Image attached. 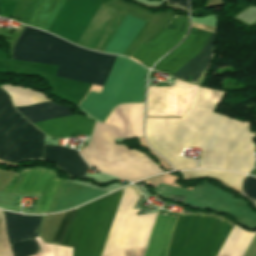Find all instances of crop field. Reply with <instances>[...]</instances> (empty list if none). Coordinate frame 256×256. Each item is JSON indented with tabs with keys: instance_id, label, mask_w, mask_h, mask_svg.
I'll use <instances>...</instances> for the list:
<instances>
[{
	"instance_id": "9",
	"label": "crop field",
	"mask_w": 256,
	"mask_h": 256,
	"mask_svg": "<svg viewBox=\"0 0 256 256\" xmlns=\"http://www.w3.org/2000/svg\"><path fill=\"white\" fill-rule=\"evenodd\" d=\"M153 190L166 198L169 193L187 196L184 204L229 213L245 226L256 228V212L247 206L245 200L238 199L208 182L204 181L201 185L194 186L192 191L162 184Z\"/></svg>"
},
{
	"instance_id": "3",
	"label": "crop field",
	"mask_w": 256,
	"mask_h": 256,
	"mask_svg": "<svg viewBox=\"0 0 256 256\" xmlns=\"http://www.w3.org/2000/svg\"><path fill=\"white\" fill-rule=\"evenodd\" d=\"M144 103L121 104L106 121L96 124L88 146L80 151L88 165L96 170L129 181L164 172L144 153L115 145L113 139L144 136L142 133Z\"/></svg>"
},
{
	"instance_id": "20",
	"label": "crop field",
	"mask_w": 256,
	"mask_h": 256,
	"mask_svg": "<svg viewBox=\"0 0 256 256\" xmlns=\"http://www.w3.org/2000/svg\"><path fill=\"white\" fill-rule=\"evenodd\" d=\"M254 235L255 232L244 230L235 224L217 256H242Z\"/></svg>"
},
{
	"instance_id": "6",
	"label": "crop field",
	"mask_w": 256,
	"mask_h": 256,
	"mask_svg": "<svg viewBox=\"0 0 256 256\" xmlns=\"http://www.w3.org/2000/svg\"><path fill=\"white\" fill-rule=\"evenodd\" d=\"M146 69L117 56L100 93L89 91L80 107L103 121L113 106L126 102H143Z\"/></svg>"
},
{
	"instance_id": "29",
	"label": "crop field",
	"mask_w": 256,
	"mask_h": 256,
	"mask_svg": "<svg viewBox=\"0 0 256 256\" xmlns=\"http://www.w3.org/2000/svg\"><path fill=\"white\" fill-rule=\"evenodd\" d=\"M169 198L174 201L181 202V203H183V201L185 199V197H183V196H176V195H172V194H170Z\"/></svg>"
},
{
	"instance_id": "21",
	"label": "crop field",
	"mask_w": 256,
	"mask_h": 256,
	"mask_svg": "<svg viewBox=\"0 0 256 256\" xmlns=\"http://www.w3.org/2000/svg\"><path fill=\"white\" fill-rule=\"evenodd\" d=\"M2 88L11 95L15 107L48 101L41 93L31 89L12 85H3Z\"/></svg>"
},
{
	"instance_id": "14",
	"label": "crop field",
	"mask_w": 256,
	"mask_h": 256,
	"mask_svg": "<svg viewBox=\"0 0 256 256\" xmlns=\"http://www.w3.org/2000/svg\"><path fill=\"white\" fill-rule=\"evenodd\" d=\"M43 159L51 161L70 175L83 177L89 168L76 150L45 145Z\"/></svg>"
},
{
	"instance_id": "17",
	"label": "crop field",
	"mask_w": 256,
	"mask_h": 256,
	"mask_svg": "<svg viewBox=\"0 0 256 256\" xmlns=\"http://www.w3.org/2000/svg\"><path fill=\"white\" fill-rule=\"evenodd\" d=\"M106 193L67 181L53 212L67 210Z\"/></svg>"
},
{
	"instance_id": "15",
	"label": "crop field",
	"mask_w": 256,
	"mask_h": 256,
	"mask_svg": "<svg viewBox=\"0 0 256 256\" xmlns=\"http://www.w3.org/2000/svg\"><path fill=\"white\" fill-rule=\"evenodd\" d=\"M6 231L9 243L37 237L40 221L39 216H23L4 211Z\"/></svg>"
},
{
	"instance_id": "26",
	"label": "crop field",
	"mask_w": 256,
	"mask_h": 256,
	"mask_svg": "<svg viewBox=\"0 0 256 256\" xmlns=\"http://www.w3.org/2000/svg\"><path fill=\"white\" fill-rule=\"evenodd\" d=\"M76 210H77V208L66 212V214H65L64 218L62 219V221L59 225V228H58V230L55 234V237H54L51 244H55V245L60 244V242H61V240H62V238H63V236H64V234H65V232H66V230H67V228H68V226H69V224H70V222H71V220H72V218H73V216L76 212Z\"/></svg>"
},
{
	"instance_id": "5",
	"label": "crop field",
	"mask_w": 256,
	"mask_h": 256,
	"mask_svg": "<svg viewBox=\"0 0 256 256\" xmlns=\"http://www.w3.org/2000/svg\"><path fill=\"white\" fill-rule=\"evenodd\" d=\"M233 225L217 217L180 214L167 256H216Z\"/></svg>"
},
{
	"instance_id": "16",
	"label": "crop field",
	"mask_w": 256,
	"mask_h": 256,
	"mask_svg": "<svg viewBox=\"0 0 256 256\" xmlns=\"http://www.w3.org/2000/svg\"><path fill=\"white\" fill-rule=\"evenodd\" d=\"M176 216L160 212L151 233L145 256H166Z\"/></svg>"
},
{
	"instance_id": "28",
	"label": "crop field",
	"mask_w": 256,
	"mask_h": 256,
	"mask_svg": "<svg viewBox=\"0 0 256 256\" xmlns=\"http://www.w3.org/2000/svg\"><path fill=\"white\" fill-rule=\"evenodd\" d=\"M169 5L187 10L186 0H169Z\"/></svg>"
},
{
	"instance_id": "12",
	"label": "crop field",
	"mask_w": 256,
	"mask_h": 256,
	"mask_svg": "<svg viewBox=\"0 0 256 256\" xmlns=\"http://www.w3.org/2000/svg\"><path fill=\"white\" fill-rule=\"evenodd\" d=\"M60 181L53 170L22 169L16 173L4 191L41 196L37 213H45Z\"/></svg>"
},
{
	"instance_id": "10",
	"label": "crop field",
	"mask_w": 256,
	"mask_h": 256,
	"mask_svg": "<svg viewBox=\"0 0 256 256\" xmlns=\"http://www.w3.org/2000/svg\"><path fill=\"white\" fill-rule=\"evenodd\" d=\"M17 110L31 123L71 115L68 107L51 102L20 107ZM93 123L94 120L79 115H71L35 123V125L53 138H62L75 134L90 135Z\"/></svg>"
},
{
	"instance_id": "24",
	"label": "crop field",
	"mask_w": 256,
	"mask_h": 256,
	"mask_svg": "<svg viewBox=\"0 0 256 256\" xmlns=\"http://www.w3.org/2000/svg\"><path fill=\"white\" fill-rule=\"evenodd\" d=\"M36 240L43 253L33 256H72V248L44 244L40 237L36 238Z\"/></svg>"
},
{
	"instance_id": "27",
	"label": "crop field",
	"mask_w": 256,
	"mask_h": 256,
	"mask_svg": "<svg viewBox=\"0 0 256 256\" xmlns=\"http://www.w3.org/2000/svg\"><path fill=\"white\" fill-rule=\"evenodd\" d=\"M0 256H12L4 231L3 215L0 210Z\"/></svg>"
},
{
	"instance_id": "8",
	"label": "crop field",
	"mask_w": 256,
	"mask_h": 256,
	"mask_svg": "<svg viewBox=\"0 0 256 256\" xmlns=\"http://www.w3.org/2000/svg\"><path fill=\"white\" fill-rule=\"evenodd\" d=\"M210 35L191 27V32L185 41L161 59L154 70L172 75L204 49ZM213 41L212 34L205 49L172 76L196 84L212 58Z\"/></svg>"
},
{
	"instance_id": "4",
	"label": "crop field",
	"mask_w": 256,
	"mask_h": 256,
	"mask_svg": "<svg viewBox=\"0 0 256 256\" xmlns=\"http://www.w3.org/2000/svg\"><path fill=\"white\" fill-rule=\"evenodd\" d=\"M115 58L27 26L13 50L15 60L59 65L55 76L100 86Z\"/></svg>"
},
{
	"instance_id": "18",
	"label": "crop field",
	"mask_w": 256,
	"mask_h": 256,
	"mask_svg": "<svg viewBox=\"0 0 256 256\" xmlns=\"http://www.w3.org/2000/svg\"><path fill=\"white\" fill-rule=\"evenodd\" d=\"M144 23V21H140L126 15L116 34L106 48L105 53L122 55Z\"/></svg>"
},
{
	"instance_id": "22",
	"label": "crop field",
	"mask_w": 256,
	"mask_h": 256,
	"mask_svg": "<svg viewBox=\"0 0 256 256\" xmlns=\"http://www.w3.org/2000/svg\"><path fill=\"white\" fill-rule=\"evenodd\" d=\"M184 176H193V175H206V176H215L218 177L230 185L241 187L245 175L223 172V171H213V170H192L182 172Z\"/></svg>"
},
{
	"instance_id": "2",
	"label": "crop field",
	"mask_w": 256,
	"mask_h": 256,
	"mask_svg": "<svg viewBox=\"0 0 256 256\" xmlns=\"http://www.w3.org/2000/svg\"><path fill=\"white\" fill-rule=\"evenodd\" d=\"M121 190L78 208L61 243L73 247V256H101ZM140 194L132 185L122 190L102 256L143 255L157 213L137 216Z\"/></svg>"
},
{
	"instance_id": "13",
	"label": "crop field",
	"mask_w": 256,
	"mask_h": 256,
	"mask_svg": "<svg viewBox=\"0 0 256 256\" xmlns=\"http://www.w3.org/2000/svg\"><path fill=\"white\" fill-rule=\"evenodd\" d=\"M187 29V18L174 15L168 25L149 42L142 44L131 58L150 68L184 38Z\"/></svg>"
},
{
	"instance_id": "23",
	"label": "crop field",
	"mask_w": 256,
	"mask_h": 256,
	"mask_svg": "<svg viewBox=\"0 0 256 256\" xmlns=\"http://www.w3.org/2000/svg\"><path fill=\"white\" fill-rule=\"evenodd\" d=\"M11 250L14 256H29L41 253V250L34 239L26 240L23 242L11 244Z\"/></svg>"
},
{
	"instance_id": "11",
	"label": "crop field",
	"mask_w": 256,
	"mask_h": 256,
	"mask_svg": "<svg viewBox=\"0 0 256 256\" xmlns=\"http://www.w3.org/2000/svg\"><path fill=\"white\" fill-rule=\"evenodd\" d=\"M198 86L175 79L174 86H149L147 116H183Z\"/></svg>"
},
{
	"instance_id": "1",
	"label": "crop field",
	"mask_w": 256,
	"mask_h": 256,
	"mask_svg": "<svg viewBox=\"0 0 256 256\" xmlns=\"http://www.w3.org/2000/svg\"><path fill=\"white\" fill-rule=\"evenodd\" d=\"M223 94L199 87L181 119L147 118L151 147L175 169L196 168V161L179 155L184 147H195L203 149L199 168L248 173L254 162L253 135L249 123L214 113Z\"/></svg>"
},
{
	"instance_id": "7",
	"label": "crop field",
	"mask_w": 256,
	"mask_h": 256,
	"mask_svg": "<svg viewBox=\"0 0 256 256\" xmlns=\"http://www.w3.org/2000/svg\"><path fill=\"white\" fill-rule=\"evenodd\" d=\"M41 133L13 108L9 96L0 89V158L14 163L41 158Z\"/></svg>"
},
{
	"instance_id": "19",
	"label": "crop field",
	"mask_w": 256,
	"mask_h": 256,
	"mask_svg": "<svg viewBox=\"0 0 256 256\" xmlns=\"http://www.w3.org/2000/svg\"><path fill=\"white\" fill-rule=\"evenodd\" d=\"M65 0H38L25 24L47 31Z\"/></svg>"
},
{
	"instance_id": "25",
	"label": "crop field",
	"mask_w": 256,
	"mask_h": 256,
	"mask_svg": "<svg viewBox=\"0 0 256 256\" xmlns=\"http://www.w3.org/2000/svg\"><path fill=\"white\" fill-rule=\"evenodd\" d=\"M240 194L249 199L251 203L256 206V178H245Z\"/></svg>"
}]
</instances>
